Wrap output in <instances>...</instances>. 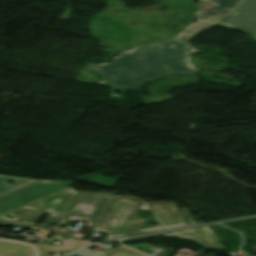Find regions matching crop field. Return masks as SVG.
<instances>
[{
  "instance_id": "1",
  "label": "crop field",
  "mask_w": 256,
  "mask_h": 256,
  "mask_svg": "<svg viewBox=\"0 0 256 256\" xmlns=\"http://www.w3.org/2000/svg\"><path fill=\"white\" fill-rule=\"evenodd\" d=\"M113 195L114 193L76 192L66 187L2 214L0 218L33 225L36 219L47 213L48 221L40 227L54 234L61 230L60 227L66 220L96 222ZM69 214L72 216L68 217ZM52 224L57 227L50 226Z\"/></svg>"
},
{
  "instance_id": "2",
  "label": "crop field",
  "mask_w": 256,
  "mask_h": 256,
  "mask_svg": "<svg viewBox=\"0 0 256 256\" xmlns=\"http://www.w3.org/2000/svg\"><path fill=\"white\" fill-rule=\"evenodd\" d=\"M143 202L134 197L113 196L91 231L106 233L109 240L196 224L188 209H178L174 202L148 203L161 227L139 231L144 220L134 216Z\"/></svg>"
},
{
  "instance_id": "3",
  "label": "crop field",
  "mask_w": 256,
  "mask_h": 256,
  "mask_svg": "<svg viewBox=\"0 0 256 256\" xmlns=\"http://www.w3.org/2000/svg\"><path fill=\"white\" fill-rule=\"evenodd\" d=\"M133 56L123 53L111 63L105 65L91 63L85 68L100 75L112 77V81L104 84L125 91L138 90L145 82L159 79L166 74L167 70L162 65L132 61Z\"/></svg>"
},
{
  "instance_id": "4",
  "label": "crop field",
  "mask_w": 256,
  "mask_h": 256,
  "mask_svg": "<svg viewBox=\"0 0 256 256\" xmlns=\"http://www.w3.org/2000/svg\"><path fill=\"white\" fill-rule=\"evenodd\" d=\"M193 48L182 36L155 44H144L133 51V60L160 63L167 74L192 75L200 72L189 66L187 51Z\"/></svg>"
},
{
  "instance_id": "5",
  "label": "crop field",
  "mask_w": 256,
  "mask_h": 256,
  "mask_svg": "<svg viewBox=\"0 0 256 256\" xmlns=\"http://www.w3.org/2000/svg\"><path fill=\"white\" fill-rule=\"evenodd\" d=\"M8 180L16 181L17 185L9 186L6 182ZM73 183L74 182L32 180L0 175V214Z\"/></svg>"
},
{
  "instance_id": "6",
  "label": "crop field",
  "mask_w": 256,
  "mask_h": 256,
  "mask_svg": "<svg viewBox=\"0 0 256 256\" xmlns=\"http://www.w3.org/2000/svg\"><path fill=\"white\" fill-rule=\"evenodd\" d=\"M203 22L240 30L256 38V0H242L230 14Z\"/></svg>"
},
{
  "instance_id": "7",
  "label": "crop field",
  "mask_w": 256,
  "mask_h": 256,
  "mask_svg": "<svg viewBox=\"0 0 256 256\" xmlns=\"http://www.w3.org/2000/svg\"><path fill=\"white\" fill-rule=\"evenodd\" d=\"M160 235L177 236L179 238H190L199 242L201 245H203L206 248H222V245L219 239L217 238V236L207 226L195 227L190 229H184L179 231H173V232L133 238V239L119 240L118 242L148 238V237H154V236H160Z\"/></svg>"
},
{
  "instance_id": "8",
  "label": "crop field",
  "mask_w": 256,
  "mask_h": 256,
  "mask_svg": "<svg viewBox=\"0 0 256 256\" xmlns=\"http://www.w3.org/2000/svg\"><path fill=\"white\" fill-rule=\"evenodd\" d=\"M50 246L0 238V256H47Z\"/></svg>"
},
{
  "instance_id": "9",
  "label": "crop field",
  "mask_w": 256,
  "mask_h": 256,
  "mask_svg": "<svg viewBox=\"0 0 256 256\" xmlns=\"http://www.w3.org/2000/svg\"><path fill=\"white\" fill-rule=\"evenodd\" d=\"M202 1H209L215 4L214 9L203 10L196 12L195 21H199L204 18L223 15L229 12L233 7L237 5L240 0H202Z\"/></svg>"
},
{
  "instance_id": "10",
  "label": "crop field",
  "mask_w": 256,
  "mask_h": 256,
  "mask_svg": "<svg viewBox=\"0 0 256 256\" xmlns=\"http://www.w3.org/2000/svg\"><path fill=\"white\" fill-rule=\"evenodd\" d=\"M106 256H146V255L120 245L115 251L107 254Z\"/></svg>"
},
{
  "instance_id": "11",
  "label": "crop field",
  "mask_w": 256,
  "mask_h": 256,
  "mask_svg": "<svg viewBox=\"0 0 256 256\" xmlns=\"http://www.w3.org/2000/svg\"><path fill=\"white\" fill-rule=\"evenodd\" d=\"M0 226H5V227L12 226V227L20 228V229H27L28 227H30L29 225L15 224V223L3 221V220H0Z\"/></svg>"
},
{
  "instance_id": "12",
  "label": "crop field",
  "mask_w": 256,
  "mask_h": 256,
  "mask_svg": "<svg viewBox=\"0 0 256 256\" xmlns=\"http://www.w3.org/2000/svg\"><path fill=\"white\" fill-rule=\"evenodd\" d=\"M70 237V232H66V231H59L57 232L52 238H58V239H69Z\"/></svg>"
},
{
  "instance_id": "13",
  "label": "crop field",
  "mask_w": 256,
  "mask_h": 256,
  "mask_svg": "<svg viewBox=\"0 0 256 256\" xmlns=\"http://www.w3.org/2000/svg\"><path fill=\"white\" fill-rule=\"evenodd\" d=\"M141 209H149V207L147 206V204H146V203H143V205H142Z\"/></svg>"
}]
</instances>
